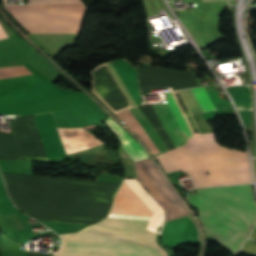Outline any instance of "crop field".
Instances as JSON below:
<instances>
[{
    "mask_svg": "<svg viewBox=\"0 0 256 256\" xmlns=\"http://www.w3.org/2000/svg\"><path fill=\"white\" fill-rule=\"evenodd\" d=\"M108 217V216H107ZM150 218L110 214L77 234L61 235L56 256H168L145 229Z\"/></svg>",
    "mask_w": 256,
    "mask_h": 256,
    "instance_id": "1",
    "label": "crop field"
},
{
    "mask_svg": "<svg viewBox=\"0 0 256 256\" xmlns=\"http://www.w3.org/2000/svg\"><path fill=\"white\" fill-rule=\"evenodd\" d=\"M156 158L166 173L187 172L195 187L252 182L247 151L219 145L213 133L194 135L186 145Z\"/></svg>",
    "mask_w": 256,
    "mask_h": 256,
    "instance_id": "2",
    "label": "crop field"
},
{
    "mask_svg": "<svg viewBox=\"0 0 256 256\" xmlns=\"http://www.w3.org/2000/svg\"><path fill=\"white\" fill-rule=\"evenodd\" d=\"M196 191L186 199L199 211L207 237L235 255L256 221L252 184Z\"/></svg>",
    "mask_w": 256,
    "mask_h": 256,
    "instance_id": "3",
    "label": "crop field"
},
{
    "mask_svg": "<svg viewBox=\"0 0 256 256\" xmlns=\"http://www.w3.org/2000/svg\"><path fill=\"white\" fill-rule=\"evenodd\" d=\"M117 150L125 166V177L139 178L146 190L166 210L167 220L189 214L185 205L150 159L134 163L122 146ZM124 182L154 212L147 229L161 234L165 222L163 208L149 195L138 180L125 179Z\"/></svg>",
    "mask_w": 256,
    "mask_h": 256,
    "instance_id": "4",
    "label": "crop field"
},
{
    "mask_svg": "<svg viewBox=\"0 0 256 256\" xmlns=\"http://www.w3.org/2000/svg\"><path fill=\"white\" fill-rule=\"evenodd\" d=\"M27 4H80L79 0H28ZM80 5L4 4L30 33L80 34L85 8Z\"/></svg>",
    "mask_w": 256,
    "mask_h": 256,
    "instance_id": "5",
    "label": "crop field"
},
{
    "mask_svg": "<svg viewBox=\"0 0 256 256\" xmlns=\"http://www.w3.org/2000/svg\"><path fill=\"white\" fill-rule=\"evenodd\" d=\"M190 91L200 109L201 112L215 109L205 88H190ZM190 114L198 113L199 110L189 92V90L179 91ZM164 97L167 101L165 103L154 105V109L157 112L161 122L163 123L168 135L170 136L175 147L185 144L188 139L192 136L171 92L164 93ZM131 111L136 116L140 124L143 126L147 134L150 136L154 144L159 149L160 153L154 154L159 155L167 148L163 144L162 140L154 130L153 126L145 116L140 106L131 108Z\"/></svg>",
    "mask_w": 256,
    "mask_h": 256,
    "instance_id": "6",
    "label": "crop field"
},
{
    "mask_svg": "<svg viewBox=\"0 0 256 256\" xmlns=\"http://www.w3.org/2000/svg\"><path fill=\"white\" fill-rule=\"evenodd\" d=\"M58 127H82L102 123L106 115L93 103L53 112Z\"/></svg>",
    "mask_w": 256,
    "mask_h": 256,
    "instance_id": "7",
    "label": "crop field"
},
{
    "mask_svg": "<svg viewBox=\"0 0 256 256\" xmlns=\"http://www.w3.org/2000/svg\"><path fill=\"white\" fill-rule=\"evenodd\" d=\"M67 154L103 144L83 128H57Z\"/></svg>",
    "mask_w": 256,
    "mask_h": 256,
    "instance_id": "8",
    "label": "crop field"
},
{
    "mask_svg": "<svg viewBox=\"0 0 256 256\" xmlns=\"http://www.w3.org/2000/svg\"><path fill=\"white\" fill-rule=\"evenodd\" d=\"M105 124H108L109 127L118 135L122 146L131 156L134 162L142 160L144 158H149L147 153L143 150L139 143L135 142L131 136L124 131L115 121L110 117H107Z\"/></svg>",
    "mask_w": 256,
    "mask_h": 256,
    "instance_id": "9",
    "label": "crop field"
},
{
    "mask_svg": "<svg viewBox=\"0 0 256 256\" xmlns=\"http://www.w3.org/2000/svg\"><path fill=\"white\" fill-rule=\"evenodd\" d=\"M226 89L234 100L239 112L251 109L252 99L248 86H236Z\"/></svg>",
    "mask_w": 256,
    "mask_h": 256,
    "instance_id": "10",
    "label": "crop field"
},
{
    "mask_svg": "<svg viewBox=\"0 0 256 256\" xmlns=\"http://www.w3.org/2000/svg\"><path fill=\"white\" fill-rule=\"evenodd\" d=\"M31 74L24 66L0 68V78L29 75Z\"/></svg>",
    "mask_w": 256,
    "mask_h": 256,
    "instance_id": "11",
    "label": "crop field"
},
{
    "mask_svg": "<svg viewBox=\"0 0 256 256\" xmlns=\"http://www.w3.org/2000/svg\"><path fill=\"white\" fill-rule=\"evenodd\" d=\"M107 65L110 68L111 72L113 73L114 77L116 78L117 82L119 83L120 87L122 88L123 92L125 93L126 97L128 98L129 102L131 103L132 107L136 106L133 99L131 98L130 94L128 93L126 87L124 86L122 80L120 79L118 73L116 72L115 68L113 67L112 63L108 62Z\"/></svg>",
    "mask_w": 256,
    "mask_h": 256,
    "instance_id": "12",
    "label": "crop field"
},
{
    "mask_svg": "<svg viewBox=\"0 0 256 256\" xmlns=\"http://www.w3.org/2000/svg\"><path fill=\"white\" fill-rule=\"evenodd\" d=\"M5 31L3 30L2 26L0 25V39L7 38Z\"/></svg>",
    "mask_w": 256,
    "mask_h": 256,
    "instance_id": "13",
    "label": "crop field"
},
{
    "mask_svg": "<svg viewBox=\"0 0 256 256\" xmlns=\"http://www.w3.org/2000/svg\"><path fill=\"white\" fill-rule=\"evenodd\" d=\"M214 1H226V0H201V2H214Z\"/></svg>",
    "mask_w": 256,
    "mask_h": 256,
    "instance_id": "14",
    "label": "crop field"
}]
</instances>
